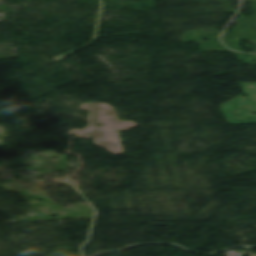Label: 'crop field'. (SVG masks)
<instances>
[{
	"label": "crop field",
	"instance_id": "obj_1",
	"mask_svg": "<svg viewBox=\"0 0 256 256\" xmlns=\"http://www.w3.org/2000/svg\"><path fill=\"white\" fill-rule=\"evenodd\" d=\"M220 108L227 116L230 125L256 123V115L250 114L252 111H256V107L246 97L240 96L221 105Z\"/></svg>",
	"mask_w": 256,
	"mask_h": 256
},
{
	"label": "crop field",
	"instance_id": "obj_2",
	"mask_svg": "<svg viewBox=\"0 0 256 256\" xmlns=\"http://www.w3.org/2000/svg\"><path fill=\"white\" fill-rule=\"evenodd\" d=\"M245 93L256 103V83H239Z\"/></svg>",
	"mask_w": 256,
	"mask_h": 256
}]
</instances>
